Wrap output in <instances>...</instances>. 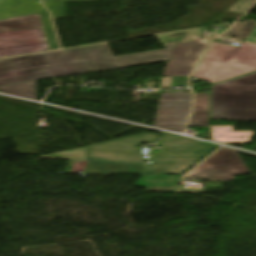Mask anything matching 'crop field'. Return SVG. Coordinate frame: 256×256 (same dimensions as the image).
I'll use <instances>...</instances> for the list:
<instances>
[{"instance_id":"crop-field-1","label":"crop field","mask_w":256,"mask_h":256,"mask_svg":"<svg viewBox=\"0 0 256 256\" xmlns=\"http://www.w3.org/2000/svg\"><path fill=\"white\" fill-rule=\"evenodd\" d=\"M164 50L113 57L107 44L0 60V86L166 61Z\"/></svg>"},{"instance_id":"crop-field-2","label":"crop field","mask_w":256,"mask_h":256,"mask_svg":"<svg viewBox=\"0 0 256 256\" xmlns=\"http://www.w3.org/2000/svg\"><path fill=\"white\" fill-rule=\"evenodd\" d=\"M206 50L192 77L211 84L256 71V45L240 47L213 42Z\"/></svg>"},{"instance_id":"crop-field-3","label":"crop field","mask_w":256,"mask_h":256,"mask_svg":"<svg viewBox=\"0 0 256 256\" xmlns=\"http://www.w3.org/2000/svg\"><path fill=\"white\" fill-rule=\"evenodd\" d=\"M212 119L256 121V72L212 86Z\"/></svg>"},{"instance_id":"crop-field-4","label":"crop field","mask_w":256,"mask_h":256,"mask_svg":"<svg viewBox=\"0 0 256 256\" xmlns=\"http://www.w3.org/2000/svg\"><path fill=\"white\" fill-rule=\"evenodd\" d=\"M157 135L144 133L39 158L145 164L146 161L142 158L141 149H137L136 146L141 142L155 141Z\"/></svg>"},{"instance_id":"crop-field-5","label":"crop field","mask_w":256,"mask_h":256,"mask_svg":"<svg viewBox=\"0 0 256 256\" xmlns=\"http://www.w3.org/2000/svg\"><path fill=\"white\" fill-rule=\"evenodd\" d=\"M203 29L160 35L169 62L163 76H189L208 40L198 39Z\"/></svg>"},{"instance_id":"crop-field-6","label":"crop field","mask_w":256,"mask_h":256,"mask_svg":"<svg viewBox=\"0 0 256 256\" xmlns=\"http://www.w3.org/2000/svg\"><path fill=\"white\" fill-rule=\"evenodd\" d=\"M158 146L163 151L151 156L153 164L198 163L219 146L163 132Z\"/></svg>"},{"instance_id":"crop-field-7","label":"crop field","mask_w":256,"mask_h":256,"mask_svg":"<svg viewBox=\"0 0 256 256\" xmlns=\"http://www.w3.org/2000/svg\"><path fill=\"white\" fill-rule=\"evenodd\" d=\"M249 173L239 158L237 151L222 148L186 177L208 180H232L237 174Z\"/></svg>"},{"instance_id":"crop-field-8","label":"crop field","mask_w":256,"mask_h":256,"mask_svg":"<svg viewBox=\"0 0 256 256\" xmlns=\"http://www.w3.org/2000/svg\"><path fill=\"white\" fill-rule=\"evenodd\" d=\"M45 50L41 29L0 33V58Z\"/></svg>"},{"instance_id":"crop-field-9","label":"crop field","mask_w":256,"mask_h":256,"mask_svg":"<svg viewBox=\"0 0 256 256\" xmlns=\"http://www.w3.org/2000/svg\"><path fill=\"white\" fill-rule=\"evenodd\" d=\"M191 102L160 101L155 127L182 132L189 115Z\"/></svg>"},{"instance_id":"crop-field-10","label":"crop field","mask_w":256,"mask_h":256,"mask_svg":"<svg viewBox=\"0 0 256 256\" xmlns=\"http://www.w3.org/2000/svg\"><path fill=\"white\" fill-rule=\"evenodd\" d=\"M145 165L70 161L66 173L142 174Z\"/></svg>"},{"instance_id":"crop-field-11","label":"crop field","mask_w":256,"mask_h":256,"mask_svg":"<svg viewBox=\"0 0 256 256\" xmlns=\"http://www.w3.org/2000/svg\"><path fill=\"white\" fill-rule=\"evenodd\" d=\"M234 126H211V140L223 144L248 143L254 131H233Z\"/></svg>"},{"instance_id":"crop-field-12","label":"crop field","mask_w":256,"mask_h":256,"mask_svg":"<svg viewBox=\"0 0 256 256\" xmlns=\"http://www.w3.org/2000/svg\"><path fill=\"white\" fill-rule=\"evenodd\" d=\"M178 177L181 176H142L135 184L147 187L145 191L165 193H175Z\"/></svg>"},{"instance_id":"crop-field-13","label":"crop field","mask_w":256,"mask_h":256,"mask_svg":"<svg viewBox=\"0 0 256 256\" xmlns=\"http://www.w3.org/2000/svg\"><path fill=\"white\" fill-rule=\"evenodd\" d=\"M189 126H209V93H195L194 111Z\"/></svg>"},{"instance_id":"crop-field-14","label":"crop field","mask_w":256,"mask_h":256,"mask_svg":"<svg viewBox=\"0 0 256 256\" xmlns=\"http://www.w3.org/2000/svg\"><path fill=\"white\" fill-rule=\"evenodd\" d=\"M36 28H43L39 14L0 21V32Z\"/></svg>"},{"instance_id":"crop-field-15","label":"crop field","mask_w":256,"mask_h":256,"mask_svg":"<svg viewBox=\"0 0 256 256\" xmlns=\"http://www.w3.org/2000/svg\"><path fill=\"white\" fill-rule=\"evenodd\" d=\"M225 35L256 43V21L236 23Z\"/></svg>"},{"instance_id":"crop-field-16","label":"crop field","mask_w":256,"mask_h":256,"mask_svg":"<svg viewBox=\"0 0 256 256\" xmlns=\"http://www.w3.org/2000/svg\"><path fill=\"white\" fill-rule=\"evenodd\" d=\"M0 92L36 100V81L0 87Z\"/></svg>"},{"instance_id":"crop-field-17","label":"crop field","mask_w":256,"mask_h":256,"mask_svg":"<svg viewBox=\"0 0 256 256\" xmlns=\"http://www.w3.org/2000/svg\"><path fill=\"white\" fill-rule=\"evenodd\" d=\"M195 164H175V165H148L145 174L149 175H183Z\"/></svg>"},{"instance_id":"crop-field-18","label":"crop field","mask_w":256,"mask_h":256,"mask_svg":"<svg viewBox=\"0 0 256 256\" xmlns=\"http://www.w3.org/2000/svg\"><path fill=\"white\" fill-rule=\"evenodd\" d=\"M160 100L191 101L190 93H162Z\"/></svg>"},{"instance_id":"crop-field-19","label":"crop field","mask_w":256,"mask_h":256,"mask_svg":"<svg viewBox=\"0 0 256 256\" xmlns=\"http://www.w3.org/2000/svg\"><path fill=\"white\" fill-rule=\"evenodd\" d=\"M256 0H239L233 6H231L227 11L243 13L246 11Z\"/></svg>"}]
</instances>
